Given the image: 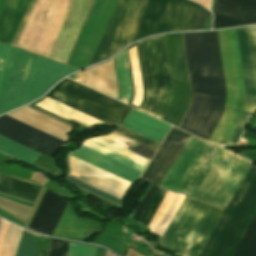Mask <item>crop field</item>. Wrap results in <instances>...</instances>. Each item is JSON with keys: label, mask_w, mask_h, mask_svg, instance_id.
<instances>
[{"label": "crop field", "mask_w": 256, "mask_h": 256, "mask_svg": "<svg viewBox=\"0 0 256 256\" xmlns=\"http://www.w3.org/2000/svg\"><path fill=\"white\" fill-rule=\"evenodd\" d=\"M223 210L185 196L161 238L162 246L169 250L175 239L184 240L180 255L197 256Z\"/></svg>", "instance_id": "412701ff"}, {"label": "crop field", "mask_w": 256, "mask_h": 256, "mask_svg": "<svg viewBox=\"0 0 256 256\" xmlns=\"http://www.w3.org/2000/svg\"><path fill=\"white\" fill-rule=\"evenodd\" d=\"M232 256H256V213Z\"/></svg>", "instance_id": "750c4746"}, {"label": "crop field", "mask_w": 256, "mask_h": 256, "mask_svg": "<svg viewBox=\"0 0 256 256\" xmlns=\"http://www.w3.org/2000/svg\"><path fill=\"white\" fill-rule=\"evenodd\" d=\"M0 135L29 147L52 159L54 153L64 144V142L6 115L0 116Z\"/></svg>", "instance_id": "cbeb9de0"}, {"label": "crop field", "mask_w": 256, "mask_h": 256, "mask_svg": "<svg viewBox=\"0 0 256 256\" xmlns=\"http://www.w3.org/2000/svg\"><path fill=\"white\" fill-rule=\"evenodd\" d=\"M105 249H101L97 247L96 256H105Z\"/></svg>", "instance_id": "b80d0937"}, {"label": "crop field", "mask_w": 256, "mask_h": 256, "mask_svg": "<svg viewBox=\"0 0 256 256\" xmlns=\"http://www.w3.org/2000/svg\"><path fill=\"white\" fill-rule=\"evenodd\" d=\"M185 195L168 191L157 213L149 225L151 233L162 236Z\"/></svg>", "instance_id": "730fd06b"}, {"label": "crop field", "mask_w": 256, "mask_h": 256, "mask_svg": "<svg viewBox=\"0 0 256 256\" xmlns=\"http://www.w3.org/2000/svg\"><path fill=\"white\" fill-rule=\"evenodd\" d=\"M222 148L191 135L160 186L192 197ZM251 166L223 148L193 197L226 208Z\"/></svg>", "instance_id": "8a807250"}, {"label": "crop field", "mask_w": 256, "mask_h": 256, "mask_svg": "<svg viewBox=\"0 0 256 256\" xmlns=\"http://www.w3.org/2000/svg\"><path fill=\"white\" fill-rule=\"evenodd\" d=\"M256 23V0H216L213 29Z\"/></svg>", "instance_id": "733c2abd"}, {"label": "crop field", "mask_w": 256, "mask_h": 256, "mask_svg": "<svg viewBox=\"0 0 256 256\" xmlns=\"http://www.w3.org/2000/svg\"><path fill=\"white\" fill-rule=\"evenodd\" d=\"M183 36L192 96L179 128L208 140L226 96L217 32Z\"/></svg>", "instance_id": "ac0d7876"}, {"label": "crop field", "mask_w": 256, "mask_h": 256, "mask_svg": "<svg viewBox=\"0 0 256 256\" xmlns=\"http://www.w3.org/2000/svg\"><path fill=\"white\" fill-rule=\"evenodd\" d=\"M46 96L108 125L122 122L130 109L70 79L60 82Z\"/></svg>", "instance_id": "d8731c3e"}, {"label": "crop field", "mask_w": 256, "mask_h": 256, "mask_svg": "<svg viewBox=\"0 0 256 256\" xmlns=\"http://www.w3.org/2000/svg\"><path fill=\"white\" fill-rule=\"evenodd\" d=\"M171 82V102L163 118L164 121L178 126L183 118L191 96L183 36L164 35Z\"/></svg>", "instance_id": "5a996713"}, {"label": "crop field", "mask_w": 256, "mask_h": 256, "mask_svg": "<svg viewBox=\"0 0 256 256\" xmlns=\"http://www.w3.org/2000/svg\"><path fill=\"white\" fill-rule=\"evenodd\" d=\"M74 78L76 81L114 99L118 95L113 60L82 70L74 74Z\"/></svg>", "instance_id": "214f88e0"}, {"label": "crop field", "mask_w": 256, "mask_h": 256, "mask_svg": "<svg viewBox=\"0 0 256 256\" xmlns=\"http://www.w3.org/2000/svg\"><path fill=\"white\" fill-rule=\"evenodd\" d=\"M10 46L4 45L0 43V80L2 77V73L8 58V54L10 51Z\"/></svg>", "instance_id": "028f5c9d"}, {"label": "crop field", "mask_w": 256, "mask_h": 256, "mask_svg": "<svg viewBox=\"0 0 256 256\" xmlns=\"http://www.w3.org/2000/svg\"><path fill=\"white\" fill-rule=\"evenodd\" d=\"M114 132H116V133H118V134H120V135H122L126 138H129V139H131V140H133V141H135L139 144H142V145H144V146H146V147H148V148H150L154 151H156L157 147L159 146L158 143H156V142H154V141H152V140H150V139H148V138H146L142 135H139V134L123 127V126H121L119 129H117Z\"/></svg>", "instance_id": "120bbe31"}, {"label": "crop field", "mask_w": 256, "mask_h": 256, "mask_svg": "<svg viewBox=\"0 0 256 256\" xmlns=\"http://www.w3.org/2000/svg\"><path fill=\"white\" fill-rule=\"evenodd\" d=\"M41 187L0 174V192L35 202Z\"/></svg>", "instance_id": "eef30255"}, {"label": "crop field", "mask_w": 256, "mask_h": 256, "mask_svg": "<svg viewBox=\"0 0 256 256\" xmlns=\"http://www.w3.org/2000/svg\"><path fill=\"white\" fill-rule=\"evenodd\" d=\"M158 189V186H154L152 185V187L150 188V190L148 191V193L146 194V196L144 197V199L142 200V202L140 203L138 209L136 210L135 214H134V218L133 220L135 221H139L140 219V215L145 207V205L147 204V202L150 200V198L152 197V195L155 193V191Z\"/></svg>", "instance_id": "d32e631a"}, {"label": "crop field", "mask_w": 256, "mask_h": 256, "mask_svg": "<svg viewBox=\"0 0 256 256\" xmlns=\"http://www.w3.org/2000/svg\"><path fill=\"white\" fill-rule=\"evenodd\" d=\"M146 1L118 0L89 65L104 60L125 47Z\"/></svg>", "instance_id": "3316defc"}, {"label": "crop field", "mask_w": 256, "mask_h": 256, "mask_svg": "<svg viewBox=\"0 0 256 256\" xmlns=\"http://www.w3.org/2000/svg\"><path fill=\"white\" fill-rule=\"evenodd\" d=\"M123 126L157 142H160L161 138L164 139L165 135L171 127L135 109H131L123 123Z\"/></svg>", "instance_id": "dafd665d"}, {"label": "crop field", "mask_w": 256, "mask_h": 256, "mask_svg": "<svg viewBox=\"0 0 256 256\" xmlns=\"http://www.w3.org/2000/svg\"><path fill=\"white\" fill-rule=\"evenodd\" d=\"M74 71L76 69L37 56L21 105L41 96L52 84Z\"/></svg>", "instance_id": "d9b57169"}, {"label": "crop field", "mask_w": 256, "mask_h": 256, "mask_svg": "<svg viewBox=\"0 0 256 256\" xmlns=\"http://www.w3.org/2000/svg\"><path fill=\"white\" fill-rule=\"evenodd\" d=\"M115 64L120 88L118 100L129 104L132 97V88L125 50L115 56Z\"/></svg>", "instance_id": "ae1a2a85"}, {"label": "crop field", "mask_w": 256, "mask_h": 256, "mask_svg": "<svg viewBox=\"0 0 256 256\" xmlns=\"http://www.w3.org/2000/svg\"><path fill=\"white\" fill-rule=\"evenodd\" d=\"M21 229L3 222L0 232V256H14L21 235ZM39 234L23 230L15 256H33Z\"/></svg>", "instance_id": "4a817a6b"}, {"label": "crop field", "mask_w": 256, "mask_h": 256, "mask_svg": "<svg viewBox=\"0 0 256 256\" xmlns=\"http://www.w3.org/2000/svg\"><path fill=\"white\" fill-rule=\"evenodd\" d=\"M0 151L6 154H9L15 158H18L22 161H25L29 164H31L35 160V158L39 155V153L31 149H28L2 136H0Z\"/></svg>", "instance_id": "bd1437ed"}, {"label": "crop field", "mask_w": 256, "mask_h": 256, "mask_svg": "<svg viewBox=\"0 0 256 256\" xmlns=\"http://www.w3.org/2000/svg\"><path fill=\"white\" fill-rule=\"evenodd\" d=\"M66 244V241L51 238L47 256H65ZM95 250V248L68 243L66 256H95Z\"/></svg>", "instance_id": "d3111659"}, {"label": "crop field", "mask_w": 256, "mask_h": 256, "mask_svg": "<svg viewBox=\"0 0 256 256\" xmlns=\"http://www.w3.org/2000/svg\"><path fill=\"white\" fill-rule=\"evenodd\" d=\"M255 212L256 169L252 166L198 256H231Z\"/></svg>", "instance_id": "34b2d1b8"}, {"label": "crop field", "mask_w": 256, "mask_h": 256, "mask_svg": "<svg viewBox=\"0 0 256 256\" xmlns=\"http://www.w3.org/2000/svg\"><path fill=\"white\" fill-rule=\"evenodd\" d=\"M101 137H103L107 140H110V141H112L116 144H119V145H121V146H123L127 149H130V150H132L136 153H139V154H141L145 157H148L150 159H151L152 155L154 154V151H152V150H150V149H148V148H146L142 145H139V144H137V143H135V142H133L129 139H126V138H124V137H122V136H120V135H118L114 132H111V133H109L107 135H104V136H101ZM83 145H85V146H87V147H89L93 150H96V151H98V152H100L104 155H107V156H109V157H111V158H113L117 161H120V162H122V163H124L128 166H131V167H133V168H135V169H137L141 172H143V170L145 169V166L140 165V164H138V163H136L132 160H129V159H127V158H125L121 155H118V154H116V153H114L110 150H107V149H105V148H103L99 145H96V144H94V143H92L88 140H85Z\"/></svg>", "instance_id": "00972430"}, {"label": "crop field", "mask_w": 256, "mask_h": 256, "mask_svg": "<svg viewBox=\"0 0 256 256\" xmlns=\"http://www.w3.org/2000/svg\"><path fill=\"white\" fill-rule=\"evenodd\" d=\"M189 137L190 134L172 127L141 178L159 185Z\"/></svg>", "instance_id": "5142ce71"}, {"label": "crop field", "mask_w": 256, "mask_h": 256, "mask_svg": "<svg viewBox=\"0 0 256 256\" xmlns=\"http://www.w3.org/2000/svg\"><path fill=\"white\" fill-rule=\"evenodd\" d=\"M166 193L167 190H163L159 187L154 196L148 202L139 222L145 224L148 227L151 219L153 218Z\"/></svg>", "instance_id": "1d83c4d3"}, {"label": "crop field", "mask_w": 256, "mask_h": 256, "mask_svg": "<svg viewBox=\"0 0 256 256\" xmlns=\"http://www.w3.org/2000/svg\"><path fill=\"white\" fill-rule=\"evenodd\" d=\"M92 220L78 217L75 208L68 203L53 236L83 240Z\"/></svg>", "instance_id": "a9b5d70f"}, {"label": "crop field", "mask_w": 256, "mask_h": 256, "mask_svg": "<svg viewBox=\"0 0 256 256\" xmlns=\"http://www.w3.org/2000/svg\"><path fill=\"white\" fill-rule=\"evenodd\" d=\"M200 8L188 0H148L130 43L156 33L190 30Z\"/></svg>", "instance_id": "e52e79f7"}, {"label": "crop field", "mask_w": 256, "mask_h": 256, "mask_svg": "<svg viewBox=\"0 0 256 256\" xmlns=\"http://www.w3.org/2000/svg\"><path fill=\"white\" fill-rule=\"evenodd\" d=\"M6 115L16 120H19L27 125H30L40 131H43L51 136H54L64 142L68 140L67 134L72 128H69L59 122H56L27 107H23Z\"/></svg>", "instance_id": "92a150f3"}, {"label": "crop field", "mask_w": 256, "mask_h": 256, "mask_svg": "<svg viewBox=\"0 0 256 256\" xmlns=\"http://www.w3.org/2000/svg\"><path fill=\"white\" fill-rule=\"evenodd\" d=\"M35 57L11 48L0 83V114L21 104Z\"/></svg>", "instance_id": "28ad6ade"}, {"label": "crop field", "mask_w": 256, "mask_h": 256, "mask_svg": "<svg viewBox=\"0 0 256 256\" xmlns=\"http://www.w3.org/2000/svg\"><path fill=\"white\" fill-rule=\"evenodd\" d=\"M135 45H137V43L134 44V45H132V46H130V47H128V48H126L127 58H128V64H129V70H130V76H131V82H132V88H133V97H134V87H133V81H132V74H131V68H130V61H129L128 49L131 48V47H133V46H135ZM137 50H138V46H137ZM138 60H139V68H140L141 81H142V87H143V98H142V101H141V104H140L139 108H137V107L131 105V102H132L133 97H132L131 102H130L129 105L139 110L140 107H141V105H142V103H143L144 93H145L144 82H143V76H142V70H141V64H140V58H139V52H138Z\"/></svg>", "instance_id": "e1f06a70"}, {"label": "crop field", "mask_w": 256, "mask_h": 256, "mask_svg": "<svg viewBox=\"0 0 256 256\" xmlns=\"http://www.w3.org/2000/svg\"><path fill=\"white\" fill-rule=\"evenodd\" d=\"M69 155L78 157L86 162H89V163H91L97 167H100L108 172H111V173H113L121 178H124L132 183H134L138 179V177L141 175V172H139L131 167H128L120 162H117L107 156H104L96 151H93L83 145L81 146L80 149L70 152ZM69 155L67 158L68 173H67L66 181H68L76 186H79L87 191H90L96 195H99L107 200H110L118 205L122 204V200H123L124 196L126 195V193L128 192V190L130 189V187L132 186V183H130V185L126 189L122 199L119 200L111 195H108L102 191H99L91 186H88L82 182H79V181L69 177V173H70V165H69L70 156Z\"/></svg>", "instance_id": "22f410ed"}, {"label": "crop field", "mask_w": 256, "mask_h": 256, "mask_svg": "<svg viewBox=\"0 0 256 256\" xmlns=\"http://www.w3.org/2000/svg\"><path fill=\"white\" fill-rule=\"evenodd\" d=\"M44 98H46V96H44L43 98L39 99L38 101H40V100H42V99H44ZM38 101H36V102H38ZM36 102H34V103H36ZM34 103H32L31 105H33ZM33 106H35V107H37V108H39V109H41V110H44V111H46V112H48V113H50V114H52V115H55V116H57V117H59V118L65 120V121H72V122H76V123H78V124H80V125H82V126H85V125H83V124H81V123H79V122H77V121L67 120V119H65V118H63V117H60V116H58V115H56V114H54V113H51V112H49V111H47V110H45V109H42V108H40V107H38V106H36V105H33ZM101 125H106V124H101ZM95 126H97V125H95ZM85 127H87V126H85ZM91 127H92V126H91ZM87 128H90V127H87Z\"/></svg>", "instance_id": "0bd39190"}, {"label": "crop field", "mask_w": 256, "mask_h": 256, "mask_svg": "<svg viewBox=\"0 0 256 256\" xmlns=\"http://www.w3.org/2000/svg\"><path fill=\"white\" fill-rule=\"evenodd\" d=\"M210 12H208L207 10H205L204 8H201L197 19L192 27L191 30H197V29H202L208 16H209Z\"/></svg>", "instance_id": "5866460e"}, {"label": "crop field", "mask_w": 256, "mask_h": 256, "mask_svg": "<svg viewBox=\"0 0 256 256\" xmlns=\"http://www.w3.org/2000/svg\"><path fill=\"white\" fill-rule=\"evenodd\" d=\"M246 29H251L253 45H256V27L250 26V27H246ZM246 32H247V38L249 43L255 90H256V46H252L250 30H246ZM236 33H237V39H238V45H239V52H240V58H241L246 96H245L242 116L227 142L228 145H232V146L236 145L242 131L244 130L245 126L247 125L253 113L254 108H256V97H255V90H254V84H253V78H252V71H251L245 29L236 30Z\"/></svg>", "instance_id": "d1516ede"}, {"label": "crop field", "mask_w": 256, "mask_h": 256, "mask_svg": "<svg viewBox=\"0 0 256 256\" xmlns=\"http://www.w3.org/2000/svg\"><path fill=\"white\" fill-rule=\"evenodd\" d=\"M68 201L46 190L29 228L51 235Z\"/></svg>", "instance_id": "bc2a9ffb"}, {"label": "crop field", "mask_w": 256, "mask_h": 256, "mask_svg": "<svg viewBox=\"0 0 256 256\" xmlns=\"http://www.w3.org/2000/svg\"><path fill=\"white\" fill-rule=\"evenodd\" d=\"M219 37L228 96L224 113L210 140L226 144L241 116L245 92L235 30L219 31Z\"/></svg>", "instance_id": "dd49c442"}, {"label": "crop field", "mask_w": 256, "mask_h": 256, "mask_svg": "<svg viewBox=\"0 0 256 256\" xmlns=\"http://www.w3.org/2000/svg\"><path fill=\"white\" fill-rule=\"evenodd\" d=\"M138 45L146 87L141 111L161 120L171 96L163 35L143 40Z\"/></svg>", "instance_id": "f4fd0767"}, {"label": "crop field", "mask_w": 256, "mask_h": 256, "mask_svg": "<svg viewBox=\"0 0 256 256\" xmlns=\"http://www.w3.org/2000/svg\"><path fill=\"white\" fill-rule=\"evenodd\" d=\"M29 0H6L0 13V41L10 43Z\"/></svg>", "instance_id": "4177f3b9"}]
</instances>
